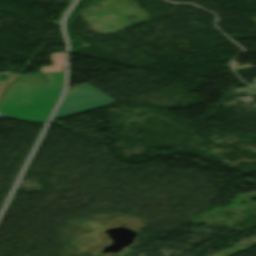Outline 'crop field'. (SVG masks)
Returning <instances> with one entry per match:
<instances>
[{
	"instance_id": "34b2d1b8",
	"label": "crop field",
	"mask_w": 256,
	"mask_h": 256,
	"mask_svg": "<svg viewBox=\"0 0 256 256\" xmlns=\"http://www.w3.org/2000/svg\"><path fill=\"white\" fill-rule=\"evenodd\" d=\"M50 60L53 62L51 67H41V72L62 71L64 67L63 53H50Z\"/></svg>"
},
{
	"instance_id": "ac0d7876",
	"label": "crop field",
	"mask_w": 256,
	"mask_h": 256,
	"mask_svg": "<svg viewBox=\"0 0 256 256\" xmlns=\"http://www.w3.org/2000/svg\"><path fill=\"white\" fill-rule=\"evenodd\" d=\"M113 100L88 85L70 87L54 119L95 109L112 103Z\"/></svg>"
},
{
	"instance_id": "f4fd0767",
	"label": "crop field",
	"mask_w": 256,
	"mask_h": 256,
	"mask_svg": "<svg viewBox=\"0 0 256 256\" xmlns=\"http://www.w3.org/2000/svg\"><path fill=\"white\" fill-rule=\"evenodd\" d=\"M19 76V74H11L8 78H7V81L6 82H14L15 79Z\"/></svg>"
},
{
	"instance_id": "8a807250",
	"label": "crop field",
	"mask_w": 256,
	"mask_h": 256,
	"mask_svg": "<svg viewBox=\"0 0 256 256\" xmlns=\"http://www.w3.org/2000/svg\"><path fill=\"white\" fill-rule=\"evenodd\" d=\"M49 86L41 91L25 90V84L15 82L0 102V116L44 123L63 88V72L43 74Z\"/></svg>"
},
{
	"instance_id": "412701ff",
	"label": "crop field",
	"mask_w": 256,
	"mask_h": 256,
	"mask_svg": "<svg viewBox=\"0 0 256 256\" xmlns=\"http://www.w3.org/2000/svg\"><path fill=\"white\" fill-rule=\"evenodd\" d=\"M11 86L10 83L2 82L0 81V99L5 94V92L8 90V88Z\"/></svg>"
},
{
	"instance_id": "dd49c442",
	"label": "crop field",
	"mask_w": 256,
	"mask_h": 256,
	"mask_svg": "<svg viewBox=\"0 0 256 256\" xmlns=\"http://www.w3.org/2000/svg\"><path fill=\"white\" fill-rule=\"evenodd\" d=\"M27 86V89H30V90H41V88H35V87H31L29 85H26Z\"/></svg>"
}]
</instances>
